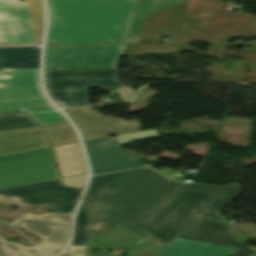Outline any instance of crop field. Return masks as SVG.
I'll return each mask as SVG.
<instances>
[{"instance_id":"8a807250","label":"crop field","mask_w":256,"mask_h":256,"mask_svg":"<svg viewBox=\"0 0 256 256\" xmlns=\"http://www.w3.org/2000/svg\"><path fill=\"white\" fill-rule=\"evenodd\" d=\"M175 183L147 167L91 179L86 208L91 217L85 231L94 237L117 225L163 248L166 244L133 224Z\"/></svg>"},{"instance_id":"ac0d7876","label":"crop field","mask_w":256,"mask_h":256,"mask_svg":"<svg viewBox=\"0 0 256 256\" xmlns=\"http://www.w3.org/2000/svg\"><path fill=\"white\" fill-rule=\"evenodd\" d=\"M46 44L124 43L138 0H46Z\"/></svg>"},{"instance_id":"34b2d1b8","label":"crop field","mask_w":256,"mask_h":256,"mask_svg":"<svg viewBox=\"0 0 256 256\" xmlns=\"http://www.w3.org/2000/svg\"><path fill=\"white\" fill-rule=\"evenodd\" d=\"M239 188L176 182L134 225L167 244L195 215L224 221L219 212Z\"/></svg>"},{"instance_id":"412701ff","label":"crop field","mask_w":256,"mask_h":256,"mask_svg":"<svg viewBox=\"0 0 256 256\" xmlns=\"http://www.w3.org/2000/svg\"><path fill=\"white\" fill-rule=\"evenodd\" d=\"M255 35L256 17L251 13H225L220 0H189L185 50L221 59L229 37ZM198 41L208 44L206 52L188 47Z\"/></svg>"},{"instance_id":"f4fd0767","label":"crop field","mask_w":256,"mask_h":256,"mask_svg":"<svg viewBox=\"0 0 256 256\" xmlns=\"http://www.w3.org/2000/svg\"><path fill=\"white\" fill-rule=\"evenodd\" d=\"M23 110L41 126L67 122L44 97L39 69H0V112Z\"/></svg>"},{"instance_id":"dd49c442","label":"crop field","mask_w":256,"mask_h":256,"mask_svg":"<svg viewBox=\"0 0 256 256\" xmlns=\"http://www.w3.org/2000/svg\"><path fill=\"white\" fill-rule=\"evenodd\" d=\"M117 69H45L44 85L60 107L88 105V88L129 87Z\"/></svg>"},{"instance_id":"e52e79f7","label":"crop field","mask_w":256,"mask_h":256,"mask_svg":"<svg viewBox=\"0 0 256 256\" xmlns=\"http://www.w3.org/2000/svg\"><path fill=\"white\" fill-rule=\"evenodd\" d=\"M43 31L42 0H0V45H40Z\"/></svg>"},{"instance_id":"d8731c3e","label":"crop field","mask_w":256,"mask_h":256,"mask_svg":"<svg viewBox=\"0 0 256 256\" xmlns=\"http://www.w3.org/2000/svg\"><path fill=\"white\" fill-rule=\"evenodd\" d=\"M81 191L64 187L57 179L0 190V203L28 206L48 203L52 211L72 215Z\"/></svg>"},{"instance_id":"5a996713","label":"crop field","mask_w":256,"mask_h":256,"mask_svg":"<svg viewBox=\"0 0 256 256\" xmlns=\"http://www.w3.org/2000/svg\"><path fill=\"white\" fill-rule=\"evenodd\" d=\"M126 45L46 46L45 68H117Z\"/></svg>"},{"instance_id":"3316defc","label":"crop field","mask_w":256,"mask_h":256,"mask_svg":"<svg viewBox=\"0 0 256 256\" xmlns=\"http://www.w3.org/2000/svg\"><path fill=\"white\" fill-rule=\"evenodd\" d=\"M57 177L50 148L0 157V188Z\"/></svg>"},{"instance_id":"28ad6ade","label":"crop field","mask_w":256,"mask_h":256,"mask_svg":"<svg viewBox=\"0 0 256 256\" xmlns=\"http://www.w3.org/2000/svg\"><path fill=\"white\" fill-rule=\"evenodd\" d=\"M186 2L145 20L139 43H160L162 30H174L173 45H127V56L181 51Z\"/></svg>"},{"instance_id":"d1516ede","label":"crop field","mask_w":256,"mask_h":256,"mask_svg":"<svg viewBox=\"0 0 256 256\" xmlns=\"http://www.w3.org/2000/svg\"><path fill=\"white\" fill-rule=\"evenodd\" d=\"M71 217L54 213L46 215L25 213L10 224L22 226L25 230L41 236L43 239L36 247L47 256H54L69 240Z\"/></svg>"},{"instance_id":"22f410ed","label":"crop field","mask_w":256,"mask_h":256,"mask_svg":"<svg viewBox=\"0 0 256 256\" xmlns=\"http://www.w3.org/2000/svg\"><path fill=\"white\" fill-rule=\"evenodd\" d=\"M64 110L79 128L84 140L139 130L138 121L127 122L108 118L91 107Z\"/></svg>"},{"instance_id":"cbeb9de0","label":"crop field","mask_w":256,"mask_h":256,"mask_svg":"<svg viewBox=\"0 0 256 256\" xmlns=\"http://www.w3.org/2000/svg\"><path fill=\"white\" fill-rule=\"evenodd\" d=\"M178 237L237 247L230 256H256V248L238 244L223 222L197 218Z\"/></svg>"},{"instance_id":"5142ce71","label":"crop field","mask_w":256,"mask_h":256,"mask_svg":"<svg viewBox=\"0 0 256 256\" xmlns=\"http://www.w3.org/2000/svg\"><path fill=\"white\" fill-rule=\"evenodd\" d=\"M94 174L147 165L119 151L116 138H102L84 142Z\"/></svg>"},{"instance_id":"d9b57169","label":"crop field","mask_w":256,"mask_h":256,"mask_svg":"<svg viewBox=\"0 0 256 256\" xmlns=\"http://www.w3.org/2000/svg\"><path fill=\"white\" fill-rule=\"evenodd\" d=\"M48 146L40 127L0 132V155Z\"/></svg>"},{"instance_id":"733c2abd","label":"crop field","mask_w":256,"mask_h":256,"mask_svg":"<svg viewBox=\"0 0 256 256\" xmlns=\"http://www.w3.org/2000/svg\"><path fill=\"white\" fill-rule=\"evenodd\" d=\"M234 249L176 238L159 256H229Z\"/></svg>"},{"instance_id":"4a817a6b","label":"crop field","mask_w":256,"mask_h":256,"mask_svg":"<svg viewBox=\"0 0 256 256\" xmlns=\"http://www.w3.org/2000/svg\"><path fill=\"white\" fill-rule=\"evenodd\" d=\"M187 0H139L125 43H138L145 18Z\"/></svg>"},{"instance_id":"bc2a9ffb","label":"crop field","mask_w":256,"mask_h":256,"mask_svg":"<svg viewBox=\"0 0 256 256\" xmlns=\"http://www.w3.org/2000/svg\"><path fill=\"white\" fill-rule=\"evenodd\" d=\"M53 148L62 177L87 172L79 142Z\"/></svg>"},{"instance_id":"214f88e0","label":"crop field","mask_w":256,"mask_h":256,"mask_svg":"<svg viewBox=\"0 0 256 256\" xmlns=\"http://www.w3.org/2000/svg\"><path fill=\"white\" fill-rule=\"evenodd\" d=\"M40 47L2 48L3 68H39Z\"/></svg>"},{"instance_id":"92a150f3","label":"crop field","mask_w":256,"mask_h":256,"mask_svg":"<svg viewBox=\"0 0 256 256\" xmlns=\"http://www.w3.org/2000/svg\"><path fill=\"white\" fill-rule=\"evenodd\" d=\"M94 240L111 249H130L141 244V242H139V238L135 237L134 235L130 234L129 232L125 231L120 227Z\"/></svg>"},{"instance_id":"dafd665d","label":"crop field","mask_w":256,"mask_h":256,"mask_svg":"<svg viewBox=\"0 0 256 256\" xmlns=\"http://www.w3.org/2000/svg\"><path fill=\"white\" fill-rule=\"evenodd\" d=\"M70 125L64 123L44 126L53 146L79 141L75 130Z\"/></svg>"},{"instance_id":"00972430","label":"crop field","mask_w":256,"mask_h":256,"mask_svg":"<svg viewBox=\"0 0 256 256\" xmlns=\"http://www.w3.org/2000/svg\"><path fill=\"white\" fill-rule=\"evenodd\" d=\"M39 126L23 112L0 114V131Z\"/></svg>"},{"instance_id":"a9b5d70f","label":"crop field","mask_w":256,"mask_h":256,"mask_svg":"<svg viewBox=\"0 0 256 256\" xmlns=\"http://www.w3.org/2000/svg\"><path fill=\"white\" fill-rule=\"evenodd\" d=\"M0 256H44L34 247H22L0 237Z\"/></svg>"},{"instance_id":"4177f3b9","label":"crop field","mask_w":256,"mask_h":256,"mask_svg":"<svg viewBox=\"0 0 256 256\" xmlns=\"http://www.w3.org/2000/svg\"><path fill=\"white\" fill-rule=\"evenodd\" d=\"M83 205H84V201L82 200L76 214L74 237L71 243L74 245H82L83 242L86 239H88L87 235L81 230L89 219L83 208Z\"/></svg>"},{"instance_id":"730fd06b","label":"crop field","mask_w":256,"mask_h":256,"mask_svg":"<svg viewBox=\"0 0 256 256\" xmlns=\"http://www.w3.org/2000/svg\"><path fill=\"white\" fill-rule=\"evenodd\" d=\"M161 252L162 250L143 243L133 250H128L124 256H158Z\"/></svg>"},{"instance_id":"eef30255","label":"crop field","mask_w":256,"mask_h":256,"mask_svg":"<svg viewBox=\"0 0 256 256\" xmlns=\"http://www.w3.org/2000/svg\"><path fill=\"white\" fill-rule=\"evenodd\" d=\"M158 133L155 131V129L152 130H146L136 133H130L125 135H119L117 136V140L119 144L123 143H129L130 140L133 139H139V138H145V137H151V136H157Z\"/></svg>"},{"instance_id":"ae1a2a85","label":"crop field","mask_w":256,"mask_h":256,"mask_svg":"<svg viewBox=\"0 0 256 256\" xmlns=\"http://www.w3.org/2000/svg\"><path fill=\"white\" fill-rule=\"evenodd\" d=\"M87 174L62 178L65 185L81 188L84 187Z\"/></svg>"},{"instance_id":"d3111659","label":"crop field","mask_w":256,"mask_h":256,"mask_svg":"<svg viewBox=\"0 0 256 256\" xmlns=\"http://www.w3.org/2000/svg\"><path fill=\"white\" fill-rule=\"evenodd\" d=\"M85 247L70 246L60 256H83Z\"/></svg>"},{"instance_id":"750c4746","label":"crop field","mask_w":256,"mask_h":256,"mask_svg":"<svg viewBox=\"0 0 256 256\" xmlns=\"http://www.w3.org/2000/svg\"><path fill=\"white\" fill-rule=\"evenodd\" d=\"M87 244L91 245L92 247H94L96 249H107V248H105V247H103V246H101V245H99V244H97V243H95L91 240L88 241Z\"/></svg>"},{"instance_id":"bd1437ed","label":"crop field","mask_w":256,"mask_h":256,"mask_svg":"<svg viewBox=\"0 0 256 256\" xmlns=\"http://www.w3.org/2000/svg\"><path fill=\"white\" fill-rule=\"evenodd\" d=\"M84 256H93V250L90 247H86Z\"/></svg>"},{"instance_id":"1d83c4d3","label":"crop field","mask_w":256,"mask_h":256,"mask_svg":"<svg viewBox=\"0 0 256 256\" xmlns=\"http://www.w3.org/2000/svg\"><path fill=\"white\" fill-rule=\"evenodd\" d=\"M0 68H2V61H1V48H0Z\"/></svg>"}]
</instances>
